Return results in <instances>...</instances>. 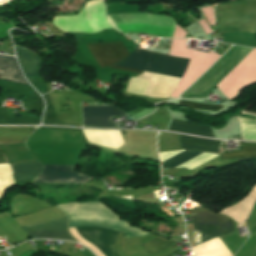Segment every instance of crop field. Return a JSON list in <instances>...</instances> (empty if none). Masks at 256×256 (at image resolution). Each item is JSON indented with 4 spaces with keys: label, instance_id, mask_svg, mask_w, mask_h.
Segmentation results:
<instances>
[{
    "label": "crop field",
    "instance_id": "8a807250",
    "mask_svg": "<svg viewBox=\"0 0 256 256\" xmlns=\"http://www.w3.org/2000/svg\"><path fill=\"white\" fill-rule=\"evenodd\" d=\"M217 33L256 30V0H240L216 6ZM224 42L256 47V31L223 34Z\"/></svg>",
    "mask_w": 256,
    "mask_h": 256
},
{
    "label": "crop field",
    "instance_id": "ac0d7876",
    "mask_svg": "<svg viewBox=\"0 0 256 256\" xmlns=\"http://www.w3.org/2000/svg\"><path fill=\"white\" fill-rule=\"evenodd\" d=\"M69 219V227L99 226L111 228L125 234V238L144 237L149 233L123 224L114 212L99 202L70 203L56 205Z\"/></svg>",
    "mask_w": 256,
    "mask_h": 256
},
{
    "label": "crop field",
    "instance_id": "34b2d1b8",
    "mask_svg": "<svg viewBox=\"0 0 256 256\" xmlns=\"http://www.w3.org/2000/svg\"><path fill=\"white\" fill-rule=\"evenodd\" d=\"M189 60L170 57L154 52L134 50L124 61L115 66L131 68L147 72H155L168 76L181 78ZM111 66L119 70L141 74V71Z\"/></svg>",
    "mask_w": 256,
    "mask_h": 256
},
{
    "label": "crop field",
    "instance_id": "412701ff",
    "mask_svg": "<svg viewBox=\"0 0 256 256\" xmlns=\"http://www.w3.org/2000/svg\"><path fill=\"white\" fill-rule=\"evenodd\" d=\"M253 49L234 45L216 64H214L180 98H205L206 95ZM224 65L222 68H220Z\"/></svg>",
    "mask_w": 256,
    "mask_h": 256
},
{
    "label": "crop field",
    "instance_id": "f4fd0767",
    "mask_svg": "<svg viewBox=\"0 0 256 256\" xmlns=\"http://www.w3.org/2000/svg\"><path fill=\"white\" fill-rule=\"evenodd\" d=\"M113 28L123 34L149 33L156 36L172 37L174 19L152 14H121L107 16Z\"/></svg>",
    "mask_w": 256,
    "mask_h": 256
},
{
    "label": "crop field",
    "instance_id": "dd49c442",
    "mask_svg": "<svg viewBox=\"0 0 256 256\" xmlns=\"http://www.w3.org/2000/svg\"><path fill=\"white\" fill-rule=\"evenodd\" d=\"M52 23L63 32L94 33L96 31L111 28L105 17L104 7L101 0L88 1L78 15L55 16L52 19Z\"/></svg>",
    "mask_w": 256,
    "mask_h": 256
},
{
    "label": "crop field",
    "instance_id": "e52e79f7",
    "mask_svg": "<svg viewBox=\"0 0 256 256\" xmlns=\"http://www.w3.org/2000/svg\"><path fill=\"white\" fill-rule=\"evenodd\" d=\"M194 228V245L207 242L221 235L234 232V221L221 215L212 213L202 207L190 210Z\"/></svg>",
    "mask_w": 256,
    "mask_h": 256
},
{
    "label": "crop field",
    "instance_id": "d8731c3e",
    "mask_svg": "<svg viewBox=\"0 0 256 256\" xmlns=\"http://www.w3.org/2000/svg\"><path fill=\"white\" fill-rule=\"evenodd\" d=\"M179 137H180V143H181L182 150L219 153L218 152L219 143L223 144V141L208 140V139H202V138H198V137H190V136H182V135H179ZM180 152H182V151L159 153L160 160H161V162H163ZM200 152L184 151V152L174 156L173 158L161 163L162 168L175 167V166L201 154Z\"/></svg>",
    "mask_w": 256,
    "mask_h": 256
},
{
    "label": "crop field",
    "instance_id": "5a996713",
    "mask_svg": "<svg viewBox=\"0 0 256 256\" xmlns=\"http://www.w3.org/2000/svg\"><path fill=\"white\" fill-rule=\"evenodd\" d=\"M36 127H0V141H24ZM15 180L35 177L43 166L38 162H28L11 165Z\"/></svg>",
    "mask_w": 256,
    "mask_h": 256
},
{
    "label": "crop field",
    "instance_id": "3316defc",
    "mask_svg": "<svg viewBox=\"0 0 256 256\" xmlns=\"http://www.w3.org/2000/svg\"><path fill=\"white\" fill-rule=\"evenodd\" d=\"M75 231L96 247L104 256H118L114 244L118 233L102 228L81 227Z\"/></svg>",
    "mask_w": 256,
    "mask_h": 256
},
{
    "label": "crop field",
    "instance_id": "28ad6ade",
    "mask_svg": "<svg viewBox=\"0 0 256 256\" xmlns=\"http://www.w3.org/2000/svg\"><path fill=\"white\" fill-rule=\"evenodd\" d=\"M73 166L44 165V170L33 179V182L83 184L91 178L77 174Z\"/></svg>",
    "mask_w": 256,
    "mask_h": 256
},
{
    "label": "crop field",
    "instance_id": "d1516ede",
    "mask_svg": "<svg viewBox=\"0 0 256 256\" xmlns=\"http://www.w3.org/2000/svg\"><path fill=\"white\" fill-rule=\"evenodd\" d=\"M101 68L115 64L129 53L122 42L86 44Z\"/></svg>",
    "mask_w": 256,
    "mask_h": 256
},
{
    "label": "crop field",
    "instance_id": "22f410ed",
    "mask_svg": "<svg viewBox=\"0 0 256 256\" xmlns=\"http://www.w3.org/2000/svg\"><path fill=\"white\" fill-rule=\"evenodd\" d=\"M65 225H68V220L66 218H60V219H56V220H52V221H48V222H44V223H39V224L23 227L22 229L26 233H29V232H34V231H39V230H44V229L65 226ZM29 235L32 236V239H34V238H56V239H63V240H69V241L76 242L70 236V234L67 230V226L50 229V230L34 232V233H29Z\"/></svg>",
    "mask_w": 256,
    "mask_h": 256
},
{
    "label": "crop field",
    "instance_id": "cbeb9de0",
    "mask_svg": "<svg viewBox=\"0 0 256 256\" xmlns=\"http://www.w3.org/2000/svg\"><path fill=\"white\" fill-rule=\"evenodd\" d=\"M83 117H96V116H119L125 115L123 112L112 106L102 107H82ZM109 117H97V118H83L84 124L90 126H106L114 127L115 124L107 122Z\"/></svg>",
    "mask_w": 256,
    "mask_h": 256
},
{
    "label": "crop field",
    "instance_id": "5142ce71",
    "mask_svg": "<svg viewBox=\"0 0 256 256\" xmlns=\"http://www.w3.org/2000/svg\"><path fill=\"white\" fill-rule=\"evenodd\" d=\"M0 79L28 85L23 79L13 57L0 56Z\"/></svg>",
    "mask_w": 256,
    "mask_h": 256
},
{
    "label": "crop field",
    "instance_id": "d9b57169",
    "mask_svg": "<svg viewBox=\"0 0 256 256\" xmlns=\"http://www.w3.org/2000/svg\"><path fill=\"white\" fill-rule=\"evenodd\" d=\"M169 130L176 131V132H182V133H190V134H194V135L214 137L211 130L207 127L194 125L189 122L174 119V118L170 125Z\"/></svg>",
    "mask_w": 256,
    "mask_h": 256
},
{
    "label": "crop field",
    "instance_id": "733c2abd",
    "mask_svg": "<svg viewBox=\"0 0 256 256\" xmlns=\"http://www.w3.org/2000/svg\"><path fill=\"white\" fill-rule=\"evenodd\" d=\"M15 50L17 59L24 74L36 76L40 65V60L26 51L17 48H15Z\"/></svg>",
    "mask_w": 256,
    "mask_h": 256
},
{
    "label": "crop field",
    "instance_id": "4a817a6b",
    "mask_svg": "<svg viewBox=\"0 0 256 256\" xmlns=\"http://www.w3.org/2000/svg\"><path fill=\"white\" fill-rule=\"evenodd\" d=\"M256 158V143H242V151L221 153L220 161Z\"/></svg>",
    "mask_w": 256,
    "mask_h": 256
},
{
    "label": "crop field",
    "instance_id": "bc2a9ffb",
    "mask_svg": "<svg viewBox=\"0 0 256 256\" xmlns=\"http://www.w3.org/2000/svg\"><path fill=\"white\" fill-rule=\"evenodd\" d=\"M175 243L177 242L173 240L168 241V240H164L156 237L141 245L144 247V249L148 252L149 255H152L174 245Z\"/></svg>",
    "mask_w": 256,
    "mask_h": 256
},
{
    "label": "crop field",
    "instance_id": "214f88e0",
    "mask_svg": "<svg viewBox=\"0 0 256 256\" xmlns=\"http://www.w3.org/2000/svg\"><path fill=\"white\" fill-rule=\"evenodd\" d=\"M179 104L187 105L189 107L196 108V109L210 110V111H218L222 107H224V106H221V105L198 103V102H186V101H180Z\"/></svg>",
    "mask_w": 256,
    "mask_h": 256
},
{
    "label": "crop field",
    "instance_id": "92a150f3",
    "mask_svg": "<svg viewBox=\"0 0 256 256\" xmlns=\"http://www.w3.org/2000/svg\"><path fill=\"white\" fill-rule=\"evenodd\" d=\"M5 162H8V160L4 155V153L0 150V163H5Z\"/></svg>",
    "mask_w": 256,
    "mask_h": 256
},
{
    "label": "crop field",
    "instance_id": "dafd665d",
    "mask_svg": "<svg viewBox=\"0 0 256 256\" xmlns=\"http://www.w3.org/2000/svg\"><path fill=\"white\" fill-rule=\"evenodd\" d=\"M211 29V28H210ZM212 31V30H211Z\"/></svg>",
    "mask_w": 256,
    "mask_h": 256
}]
</instances>
